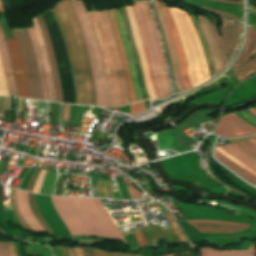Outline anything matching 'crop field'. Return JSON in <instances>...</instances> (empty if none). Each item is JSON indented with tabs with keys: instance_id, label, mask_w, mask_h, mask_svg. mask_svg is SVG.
I'll return each mask as SVG.
<instances>
[{
	"instance_id": "d1516ede",
	"label": "crop field",
	"mask_w": 256,
	"mask_h": 256,
	"mask_svg": "<svg viewBox=\"0 0 256 256\" xmlns=\"http://www.w3.org/2000/svg\"><path fill=\"white\" fill-rule=\"evenodd\" d=\"M187 222L200 232L235 233L249 227V224L216 220H187Z\"/></svg>"
},
{
	"instance_id": "d23c7cc5",
	"label": "crop field",
	"mask_w": 256,
	"mask_h": 256,
	"mask_svg": "<svg viewBox=\"0 0 256 256\" xmlns=\"http://www.w3.org/2000/svg\"><path fill=\"white\" fill-rule=\"evenodd\" d=\"M7 164H8L7 161H3V160L1 161V163H0V174H3Z\"/></svg>"
},
{
	"instance_id": "d3111659",
	"label": "crop field",
	"mask_w": 256,
	"mask_h": 256,
	"mask_svg": "<svg viewBox=\"0 0 256 256\" xmlns=\"http://www.w3.org/2000/svg\"><path fill=\"white\" fill-rule=\"evenodd\" d=\"M218 152H220L222 155H224L225 157L229 158L230 160H232L233 162H235L237 165H239L241 168H243L244 170L248 171L249 173H251L252 175L256 176V171L252 170L251 168H249L247 165H245L243 162L239 161L238 159H236L235 157H233L231 154H229L227 151H225L224 149L220 148L219 146L216 147V149Z\"/></svg>"
},
{
	"instance_id": "28ad6ade",
	"label": "crop field",
	"mask_w": 256,
	"mask_h": 256,
	"mask_svg": "<svg viewBox=\"0 0 256 256\" xmlns=\"http://www.w3.org/2000/svg\"><path fill=\"white\" fill-rule=\"evenodd\" d=\"M157 1L163 11V15H164L166 23H167L169 34H170V37H171V40H172V43H173V46H174V49L176 52V56H177V60H178V64H179V77H180L185 89L187 90L189 88H192L193 86H192L190 79L188 77V74H187L188 66H187V62H186V59H185V56L183 53V49H182V46H181V43H180V40H179V37L177 34L174 20L171 16L169 10L166 8L163 0H162L163 6L161 5L159 0H157Z\"/></svg>"
},
{
	"instance_id": "d9b57169",
	"label": "crop field",
	"mask_w": 256,
	"mask_h": 256,
	"mask_svg": "<svg viewBox=\"0 0 256 256\" xmlns=\"http://www.w3.org/2000/svg\"><path fill=\"white\" fill-rule=\"evenodd\" d=\"M152 3L154 5V8H155L156 13L158 15V19H159L160 25L162 27L165 42H166V45H167L169 57H170V60L172 62L173 75H174L175 79L177 80V81H174V82H175L179 92L184 91V88H183V86H182V84H181V82L178 78L177 60H176V57H175V54H174V51H173V48H172V44H171V41H170V37H169V34H168V30H167V27H166L165 20L163 18L162 12H161L156 0H153Z\"/></svg>"
},
{
	"instance_id": "e52e79f7",
	"label": "crop field",
	"mask_w": 256,
	"mask_h": 256,
	"mask_svg": "<svg viewBox=\"0 0 256 256\" xmlns=\"http://www.w3.org/2000/svg\"><path fill=\"white\" fill-rule=\"evenodd\" d=\"M30 85V98L43 100V92L39 72L35 60L31 38L26 29H15Z\"/></svg>"
},
{
	"instance_id": "d14b1444",
	"label": "crop field",
	"mask_w": 256,
	"mask_h": 256,
	"mask_svg": "<svg viewBox=\"0 0 256 256\" xmlns=\"http://www.w3.org/2000/svg\"><path fill=\"white\" fill-rule=\"evenodd\" d=\"M56 256V255H55Z\"/></svg>"
},
{
	"instance_id": "0f1d7ab4",
	"label": "crop field",
	"mask_w": 256,
	"mask_h": 256,
	"mask_svg": "<svg viewBox=\"0 0 256 256\" xmlns=\"http://www.w3.org/2000/svg\"><path fill=\"white\" fill-rule=\"evenodd\" d=\"M245 141L256 149V146L253 145L251 142H249L248 140H245Z\"/></svg>"
},
{
	"instance_id": "1d79db26",
	"label": "crop field",
	"mask_w": 256,
	"mask_h": 256,
	"mask_svg": "<svg viewBox=\"0 0 256 256\" xmlns=\"http://www.w3.org/2000/svg\"><path fill=\"white\" fill-rule=\"evenodd\" d=\"M217 1H224V2L236 3V4L242 5V2H236V1H229V0H217Z\"/></svg>"
},
{
	"instance_id": "750c4746",
	"label": "crop field",
	"mask_w": 256,
	"mask_h": 256,
	"mask_svg": "<svg viewBox=\"0 0 256 256\" xmlns=\"http://www.w3.org/2000/svg\"><path fill=\"white\" fill-rule=\"evenodd\" d=\"M131 7H132V11H133V14H134V17H135V21H136V24H137V28H138V31H139V35H140V39H141L142 46H143V49H144L145 57H146V60H147V63H148L150 79H151V82L153 84V87H154V90H155V93H156V97L158 98L157 89H156V86H155V83H154V80H153V75H152V72H151V68H150V64H149V59H148L147 51H146L145 44H144V41H143L142 33H141V30H140V27H139L138 19H137L134 7L133 6H131Z\"/></svg>"
},
{
	"instance_id": "eef30255",
	"label": "crop field",
	"mask_w": 256,
	"mask_h": 256,
	"mask_svg": "<svg viewBox=\"0 0 256 256\" xmlns=\"http://www.w3.org/2000/svg\"><path fill=\"white\" fill-rule=\"evenodd\" d=\"M238 80L241 82L244 80L249 74L256 71V57L250 61L248 64L240 67V68H232Z\"/></svg>"
},
{
	"instance_id": "5d738f31",
	"label": "crop field",
	"mask_w": 256,
	"mask_h": 256,
	"mask_svg": "<svg viewBox=\"0 0 256 256\" xmlns=\"http://www.w3.org/2000/svg\"><path fill=\"white\" fill-rule=\"evenodd\" d=\"M239 143H241L244 147H246L249 151H251L253 154L256 155V150L254 148H252L250 145H248L246 142L242 141Z\"/></svg>"
},
{
	"instance_id": "9d1cf04e",
	"label": "crop field",
	"mask_w": 256,
	"mask_h": 256,
	"mask_svg": "<svg viewBox=\"0 0 256 256\" xmlns=\"http://www.w3.org/2000/svg\"><path fill=\"white\" fill-rule=\"evenodd\" d=\"M1 101H2V116H4V97H1Z\"/></svg>"
},
{
	"instance_id": "ae1a2a85",
	"label": "crop field",
	"mask_w": 256,
	"mask_h": 256,
	"mask_svg": "<svg viewBox=\"0 0 256 256\" xmlns=\"http://www.w3.org/2000/svg\"><path fill=\"white\" fill-rule=\"evenodd\" d=\"M34 195L33 193H29V205L30 208L34 214V216L36 217V219L39 221V223L42 225V227L48 232V234H52L51 229L49 228V226L45 223V221L42 219V217L40 216L38 209L36 207L35 204V199H34Z\"/></svg>"
},
{
	"instance_id": "f4fd0767",
	"label": "crop field",
	"mask_w": 256,
	"mask_h": 256,
	"mask_svg": "<svg viewBox=\"0 0 256 256\" xmlns=\"http://www.w3.org/2000/svg\"><path fill=\"white\" fill-rule=\"evenodd\" d=\"M70 1L78 17L80 28L86 42L94 79L97 106L109 107L108 87L92 24L89 20L83 2L77 0Z\"/></svg>"
},
{
	"instance_id": "1f2cbd36",
	"label": "crop field",
	"mask_w": 256,
	"mask_h": 256,
	"mask_svg": "<svg viewBox=\"0 0 256 256\" xmlns=\"http://www.w3.org/2000/svg\"><path fill=\"white\" fill-rule=\"evenodd\" d=\"M12 189H13V188H11V195H12V202H13ZM13 207H14V203H13ZM14 211H15V213H16V215H17V217H18L19 221L21 222L22 226L24 227V229H27V228L25 227V225L22 223V221H21V219H20V217H19L18 213H17V212H16V210H15V207H14ZM27 230H28V229H27Z\"/></svg>"
},
{
	"instance_id": "d32e631a",
	"label": "crop field",
	"mask_w": 256,
	"mask_h": 256,
	"mask_svg": "<svg viewBox=\"0 0 256 256\" xmlns=\"http://www.w3.org/2000/svg\"><path fill=\"white\" fill-rule=\"evenodd\" d=\"M146 110L144 102H138L130 105V114L135 116L136 114Z\"/></svg>"
},
{
	"instance_id": "5866460e",
	"label": "crop field",
	"mask_w": 256,
	"mask_h": 256,
	"mask_svg": "<svg viewBox=\"0 0 256 256\" xmlns=\"http://www.w3.org/2000/svg\"><path fill=\"white\" fill-rule=\"evenodd\" d=\"M30 29H31V31L34 35V39H35V43H36V47H37L41 67H42V72H43V76H44V80H45V89H46L47 100L49 101V92H48L47 80H46V75H45V71H44V67H43V63H42V59H41V55H40V51H39V47H38V43H37V38H36V35L34 33L33 27H31Z\"/></svg>"
},
{
	"instance_id": "c39391a2",
	"label": "crop field",
	"mask_w": 256,
	"mask_h": 256,
	"mask_svg": "<svg viewBox=\"0 0 256 256\" xmlns=\"http://www.w3.org/2000/svg\"><path fill=\"white\" fill-rule=\"evenodd\" d=\"M165 256V255H164Z\"/></svg>"
},
{
	"instance_id": "dafd665d",
	"label": "crop field",
	"mask_w": 256,
	"mask_h": 256,
	"mask_svg": "<svg viewBox=\"0 0 256 256\" xmlns=\"http://www.w3.org/2000/svg\"><path fill=\"white\" fill-rule=\"evenodd\" d=\"M256 53V31L248 27L247 30V42L241 58L234 64V66H241ZM233 66V67H234Z\"/></svg>"
},
{
	"instance_id": "00972430",
	"label": "crop field",
	"mask_w": 256,
	"mask_h": 256,
	"mask_svg": "<svg viewBox=\"0 0 256 256\" xmlns=\"http://www.w3.org/2000/svg\"><path fill=\"white\" fill-rule=\"evenodd\" d=\"M225 150H227L229 153H231L236 158L240 159L244 163H246L248 166H250L252 169L256 170V159H254L252 156H250L248 153H246L244 150H242L240 147H238L236 144H228L225 146H221Z\"/></svg>"
},
{
	"instance_id": "dd49c442",
	"label": "crop field",
	"mask_w": 256,
	"mask_h": 256,
	"mask_svg": "<svg viewBox=\"0 0 256 256\" xmlns=\"http://www.w3.org/2000/svg\"><path fill=\"white\" fill-rule=\"evenodd\" d=\"M113 11H114L115 19H116V22H117L118 30H119V33H120L121 41H122V44H123L124 52H125V55H126V59H127L128 67H129V70H130L131 78H132V81H133L134 89H135V92H136L137 100L140 101L143 98H142V94H141L140 87H139L138 80H137V74H136V68H135L134 60H133V57H132V54H131V51H130V48H129V45H128V42H127V39H126V36H125L121 15H120V12H119L118 9H115ZM113 11L109 10V11H107V13H108L109 19L112 23V27H113V30H114L115 38H116V41H117V45H118L120 56H121L122 63H123L124 74H125L126 80H127L129 100H130V103H132V102H136L137 100H136L135 92H134V89H133L132 81H131V78H130L129 70H128V67H127L126 59H125V56H124L122 44H121V41H120L117 26H116V22H115V19H114Z\"/></svg>"
},
{
	"instance_id": "412701ff",
	"label": "crop field",
	"mask_w": 256,
	"mask_h": 256,
	"mask_svg": "<svg viewBox=\"0 0 256 256\" xmlns=\"http://www.w3.org/2000/svg\"><path fill=\"white\" fill-rule=\"evenodd\" d=\"M168 8L176 23L179 37L188 62V74L191 82L193 86L198 85L209 79V73L197 34L186 13L172 7Z\"/></svg>"
},
{
	"instance_id": "e1f06a70",
	"label": "crop field",
	"mask_w": 256,
	"mask_h": 256,
	"mask_svg": "<svg viewBox=\"0 0 256 256\" xmlns=\"http://www.w3.org/2000/svg\"><path fill=\"white\" fill-rule=\"evenodd\" d=\"M39 172H40V170H38V169L34 170L32 176H31V178H30V180L28 182V185H27V187L25 189L26 191H30V192L32 191L33 185H34V183L36 181V178H37Z\"/></svg>"
},
{
	"instance_id": "8a807250",
	"label": "crop field",
	"mask_w": 256,
	"mask_h": 256,
	"mask_svg": "<svg viewBox=\"0 0 256 256\" xmlns=\"http://www.w3.org/2000/svg\"><path fill=\"white\" fill-rule=\"evenodd\" d=\"M71 235L103 236L124 242L100 199L51 196Z\"/></svg>"
},
{
	"instance_id": "730fd06b",
	"label": "crop field",
	"mask_w": 256,
	"mask_h": 256,
	"mask_svg": "<svg viewBox=\"0 0 256 256\" xmlns=\"http://www.w3.org/2000/svg\"><path fill=\"white\" fill-rule=\"evenodd\" d=\"M201 256H254L253 251H241V252H221L213 249L204 248L201 249Z\"/></svg>"
},
{
	"instance_id": "3316defc",
	"label": "crop field",
	"mask_w": 256,
	"mask_h": 256,
	"mask_svg": "<svg viewBox=\"0 0 256 256\" xmlns=\"http://www.w3.org/2000/svg\"><path fill=\"white\" fill-rule=\"evenodd\" d=\"M13 31L15 39H9L6 40L7 47L14 71V76L17 84V90H18V96L20 97H26L29 98V85L26 79L23 60L18 44V40L15 34V31Z\"/></svg>"
},
{
	"instance_id": "e1d0b9f6",
	"label": "crop field",
	"mask_w": 256,
	"mask_h": 256,
	"mask_svg": "<svg viewBox=\"0 0 256 256\" xmlns=\"http://www.w3.org/2000/svg\"><path fill=\"white\" fill-rule=\"evenodd\" d=\"M250 111L256 116V110L251 109Z\"/></svg>"
},
{
	"instance_id": "4177f3b9",
	"label": "crop field",
	"mask_w": 256,
	"mask_h": 256,
	"mask_svg": "<svg viewBox=\"0 0 256 256\" xmlns=\"http://www.w3.org/2000/svg\"><path fill=\"white\" fill-rule=\"evenodd\" d=\"M56 175V172H46L39 193L53 195Z\"/></svg>"
},
{
	"instance_id": "92a150f3",
	"label": "crop field",
	"mask_w": 256,
	"mask_h": 256,
	"mask_svg": "<svg viewBox=\"0 0 256 256\" xmlns=\"http://www.w3.org/2000/svg\"><path fill=\"white\" fill-rule=\"evenodd\" d=\"M32 21H33L35 32L37 34L39 47H40L41 55H42L45 70H46V75H47V80H48V85H49V92H50V101L55 102V90H54L51 68H50V64H49V60H48V54L46 51V47H45V44L43 41V37H42L41 31H40L39 24H38L36 18L34 17L32 19Z\"/></svg>"
},
{
	"instance_id": "b54c1fbb",
	"label": "crop field",
	"mask_w": 256,
	"mask_h": 256,
	"mask_svg": "<svg viewBox=\"0 0 256 256\" xmlns=\"http://www.w3.org/2000/svg\"><path fill=\"white\" fill-rule=\"evenodd\" d=\"M46 171L42 170L41 173H40V176L38 178V181L35 185V188H34V193H38L39 192V188H40V185H41V182H42V179L44 177V174H45Z\"/></svg>"
},
{
	"instance_id": "73cf0c24",
	"label": "crop field",
	"mask_w": 256,
	"mask_h": 256,
	"mask_svg": "<svg viewBox=\"0 0 256 256\" xmlns=\"http://www.w3.org/2000/svg\"><path fill=\"white\" fill-rule=\"evenodd\" d=\"M105 256H132V255H126V254H120V253H106Z\"/></svg>"
},
{
	"instance_id": "b80d0937",
	"label": "crop field",
	"mask_w": 256,
	"mask_h": 256,
	"mask_svg": "<svg viewBox=\"0 0 256 256\" xmlns=\"http://www.w3.org/2000/svg\"><path fill=\"white\" fill-rule=\"evenodd\" d=\"M229 116L232 117L233 119L237 120V121L240 122L242 125H244V126L247 127L249 130H251L253 133L256 134V128H254V127L251 126L250 124L246 123L245 121H243L241 118H239V117L236 116L235 114L229 115Z\"/></svg>"
},
{
	"instance_id": "ac0d7876",
	"label": "crop field",
	"mask_w": 256,
	"mask_h": 256,
	"mask_svg": "<svg viewBox=\"0 0 256 256\" xmlns=\"http://www.w3.org/2000/svg\"><path fill=\"white\" fill-rule=\"evenodd\" d=\"M53 10L61 26L71 61L77 104L96 105L88 54L72 5L69 0L59 1Z\"/></svg>"
},
{
	"instance_id": "cbeb9de0",
	"label": "crop field",
	"mask_w": 256,
	"mask_h": 256,
	"mask_svg": "<svg viewBox=\"0 0 256 256\" xmlns=\"http://www.w3.org/2000/svg\"><path fill=\"white\" fill-rule=\"evenodd\" d=\"M199 25L201 27V30L204 34V37L206 39L209 52L213 61L214 68L216 70V73L219 72L222 67V58H221V51L219 49V46L217 44V41L212 33L210 23L207 19H205L202 16H197Z\"/></svg>"
},
{
	"instance_id": "c21b1889",
	"label": "crop field",
	"mask_w": 256,
	"mask_h": 256,
	"mask_svg": "<svg viewBox=\"0 0 256 256\" xmlns=\"http://www.w3.org/2000/svg\"><path fill=\"white\" fill-rule=\"evenodd\" d=\"M28 31L31 35V38H32V42H33V45H34V49H35V54H36V60H37V64H38V68H39V72H40V76H41V80H42V85H43V91H44V100H46V96H45V89H44V83H43V77H42V72H41V68H40V64H39V60H38V56H37V52H36V48H35V44H34V40H33V37H32V34L30 32V29L28 28Z\"/></svg>"
},
{
	"instance_id": "a9b5d70f",
	"label": "crop field",
	"mask_w": 256,
	"mask_h": 256,
	"mask_svg": "<svg viewBox=\"0 0 256 256\" xmlns=\"http://www.w3.org/2000/svg\"><path fill=\"white\" fill-rule=\"evenodd\" d=\"M214 156L224 165H226L228 168L236 172L239 176L245 178L247 181H249L251 184L256 186V177L252 176L248 172L244 171L241 169L239 166H237L235 163L232 161L228 160L224 156H222L220 153L217 151L214 152Z\"/></svg>"
},
{
	"instance_id": "78b8030e",
	"label": "crop field",
	"mask_w": 256,
	"mask_h": 256,
	"mask_svg": "<svg viewBox=\"0 0 256 256\" xmlns=\"http://www.w3.org/2000/svg\"><path fill=\"white\" fill-rule=\"evenodd\" d=\"M21 101H22V99L19 98V109H20V112H21Z\"/></svg>"
},
{
	"instance_id": "0fb4a251",
	"label": "crop field",
	"mask_w": 256,
	"mask_h": 256,
	"mask_svg": "<svg viewBox=\"0 0 256 256\" xmlns=\"http://www.w3.org/2000/svg\"><path fill=\"white\" fill-rule=\"evenodd\" d=\"M94 256H104V252L98 251V250H94Z\"/></svg>"
},
{
	"instance_id": "214f88e0",
	"label": "crop field",
	"mask_w": 256,
	"mask_h": 256,
	"mask_svg": "<svg viewBox=\"0 0 256 256\" xmlns=\"http://www.w3.org/2000/svg\"><path fill=\"white\" fill-rule=\"evenodd\" d=\"M216 133L225 136H244L253 134L240 123L228 116L221 118Z\"/></svg>"
},
{
	"instance_id": "db79e9e6",
	"label": "crop field",
	"mask_w": 256,
	"mask_h": 256,
	"mask_svg": "<svg viewBox=\"0 0 256 256\" xmlns=\"http://www.w3.org/2000/svg\"><path fill=\"white\" fill-rule=\"evenodd\" d=\"M0 13H5L4 10H3V7L1 5V2H0Z\"/></svg>"
},
{
	"instance_id": "120bbe31",
	"label": "crop field",
	"mask_w": 256,
	"mask_h": 256,
	"mask_svg": "<svg viewBox=\"0 0 256 256\" xmlns=\"http://www.w3.org/2000/svg\"><path fill=\"white\" fill-rule=\"evenodd\" d=\"M166 218L169 222V224L171 225L173 231L175 232L176 236L178 237V239L180 240V242H186L182 232L180 231L179 227L177 226V224L175 223L174 219L172 218L171 214L166 215Z\"/></svg>"
},
{
	"instance_id": "89e229c0",
	"label": "crop field",
	"mask_w": 256,
	"mask_h": 256,
	"mask_svg": "<svg viewBox=\"0 0 256 256\" xmlns=\"http://www.w3.org/2000/svg\"><path fill=\"white\" fill-rule=\"evenodd\" d=\"M75 251L76 253V256H83V251L82 249H79V248H71Z\"/></svg>"
},
{
	"instance_id": "7b73153f",
	"label": "crop field",
	"mask_w": 256,
	"mask_h": 256,
	"mask_svg": "<svg viewBox=\"0 0 256 256\" xmlns=\"http://www.w3.org/2000/svg\"><path fill=\"white\" fill-rule=\"evenodd\" d=\"M68 250H69V256H74V252L70 249H68Z\"/></svg>"
},
{
	"instance_id": "34b2d1b8",
	"label": "crop field",
	"mask_w": 256,
	"mask_h": 256,
	"mask_svg": "<svg viewBox=\"0 0 256 256\" xmlns=\"http://www.w3.org/2000/svg\"><path fill=\"white\" fill-rule=\"evenodd\" d=\"M142 28L147 46L151 67L160 98L168 97L171 89L168 81L165 56L161 39L156 27V21L149 7L148 1L133 2Z\"/></svg>"
},
{
	"instance_id": "c035e120",
	"label": "crop field",
	"mask_w": 256,
	"mask_h": 256,
	"mask_svg": "<svg viewBox=\"0 0 256 256\" xmlns=\"http://www.w3.org/2000/svg\"><path fill=\"white\" fill-rule=\"evenodd\" d=\"M134 236L137 239L140 247H147L146 241L141 232L134 233Z\"/></svg>"
},
{
	"instance_id": "5a996713",
	"label": "crop field",
	"mask_w": 256,
	"mask_h": 256,
	"mask_svg": "<svg viewBox=\"0 0 256 256\" xmlns=\"http://www.w3.org/2000/svg\"><path fill=\"white\" fill-rule=\"evenodd\" d=\"M100 18V21L102 23L109 50L111 53L112 61H113V67H114V72L116 74V81L118 85V94H119V102L120 106L124 104H128V95H127V90H126V85H125V80H124V75L116 47V42L115 38L113 35V31L110 25V22L108 20L107 14L105 11L97 12Z\"/></svg>"
},
{
	"instance_id": "1d83c4d3",
	"label": "crop field",
	"mask_w": 256,
	"mask_h": 256,
	"mask_svg": "<svg viewBox=\"0 0 256 256\" xmlns=\"http://www.w3.org/2000/svg\"><path fill=\"white\" fill-rule=\"evenodd\" d=\"M212 25V29H213V32L215 34V37L218 41V44L220 46V49L222 51V57H223V66L225 64V61L227 62L228 61V58H227V54H226V51H225V48H224V45H223V42H222V39H221V36L218 32V29H217V25L216 24H211Z\"/></svg>"
},
{
	"instance_id": "bc2a9ffb",
	"label": "crop field",
	"mask_w": 256,
	"mask_h": 256,
	"mask_svg": "<svg viewBox=\"0 0 256 256\" xmlns=\"http://www.w3.org/2000/svg\"><path fill=\"white\" fill-rule=\"evenodd\" d=\"M36 18H37V20L40 24L42 34H43V37H44V40H45V43H46V47H47V50H48V54H49V59H50V64H51L53 79H54V84H55V90H56V101L57 102H62L61 86H60V81H59L57 68H56V62H55L52 46H51V43H50L49 35H48L45 23H44L41 15L36 17Z\"/></svg>"
},
{
	"instance_id": "5142ce71",
	"label": "crop field",
	"mask_w": 256,
	"mask_h": 256,
	"mask_svg": "<svg viewBox=\"0 0 256 256\" xmlns=\"http://www.w3.org/2000/svg\"><path fill=\"white\" fill-rule=\"evenodd\" d=\"M16 200L20 214L32 231H45L33 216L28 205V193L16 189Z\"/></svg>"
},
{
	"instance_id": "0765c3eb",
	"label": "crop field",
	"mask_w": 256,
	"mask_h": 256,
	"mask_svg": "<svg viewBox=\"0 0 256 256\" xmlns=\"http://www.w3.org/2000/svg\"><path fill=\"white\" fill-rule=\"evenodd\" d=\"M249 141H251L253 144H255V145H256V138L249 139Z\"/></svg>"
},
{
	"instance_id": "bd1437ed",
	"label": "crop field",
	"mask_w": 256,
	"mask_h": 256,
	"mask_svg": "<svg viewBox=\"0 0 256 256\" xmlns=\"http://www.w3.org/2000/svg\"><path fill=\"white\" fill-rule=\"evenodd\" d=\"M0 256H17L13 242H0Z\"/></svg>"
},
{
	"instance_id": "dbb93151",
	"label": "crop field",
	"mask_w": 256,
	"mask_h": 256,
	"mask_svg": "<svg viewBox=\"0 0 256 256\" xmlns=\"http://www.w3.org/2000/svg\"><path fill=\"white\" fill-rule=\"evenodd\" d=\"M203 9L210 10V9H207V8H204V7H203ZM210 11H213V12H216V13H219V14H222V15H225V16H228V17H231V18H234V19H237V20L241 21V19L237 18V17H233V16H230V15H227V14H223V13H220V12H217V11H214V10H210Z\"/></svg>"
},
{
	"instance_id": "03da06ac",
	"label": "crop field",
	"mask_w": 256,
	"mask_h": 256,
	"mask_svg": "<svg viewBox=\"0 0 256 256\" xmlns=\"http://www.w3.org/2000/svg\"><path fill=\"white\" fill-rule=\"evenodd\" d=\"M69 112H70V105L64 104L62 122H68Z\"/></svg>"
},
{
	"instance_id": "22f410ed",
	"label": "crop field",
	"mask_w": 256,
	"mask_h": 256,
	"mask_svg": "<svg viewBox=\"0 0 256 256\" xmlns=\"http://www.w3.org/2000/svg\"><path fill=\"white\" fill-rule=\"evenodd\" d=\"M222 22L223 26L220 27V30L228 57L230 59L239 41L240 33H242V24L226 18H222Z\"/></svg>"
},
{
	"instance_id": "028f5c9d",
	"label": "crop field",
	"mask_w": 256,
	"mask_h": 256,
	"mask_svg": "<svg viewBox=\"0 0 256 256\" xmlns=\"http://www.w3.org/2000/svg\"><path fill=\"white\" fill-rule=\"evenodd\" d=\"M0 95H7V86L4 78L1 60H0Z\"/></svg>"
},
{
	"instance_id": "0bd39190",
	"label": "crop field",
	"mask_w": 256,
	"mask_h": 256,
	"mask_svg": "<svg viewBox=\"0 0 256 256\" xmlns=\"http://www.w3.org/2000/svg\"><path fill=\"white\" fill-rule=\"evenodd\" d=\"M132 199H142L141 194L136 190L133 185H126Z\"/></svg>"
},
{
	"instance_id": "733c2abd",
	"label": "crop field",
	"mask_w": 256,
	"mask_h": 256,
	"mask_svg": "<svg viewBox=\"0 0 256 256\" xmlns=\"http://www.w3.org/2000/svg\"><path fill=\"white\" fill-rule=\"evenodd\" d=\"M4 39L5 38L0 27V56L3 64L5 77L8 83V92H9V95L17 96L16 84H15V80H14V76H13V72L10 64V59H9V55H8V51H7V47Z\"/></svg>"
},
{
	"instance_id": "25e5ab78",
	"label": "crop field",
	"mask_w": 256,
	"mask_h": 256,
	"mask_svg": "<svg viewBox=\"0 0 256 256\" xmlns=\"http://www.w3.org/2000/svg\"><path fill=\"white\" fill-rule=\"evenodd\" d=\"M84 256H93V250L89 248H83Z\"/></svg>"
},
{
	"instance_id": "4a817a6b",
	"label": "crop field",
	"mask_w": 256,
	"mask_h": 256,
	"mask_svg": "<svg viewBox=\"0 0 256 256\" xmlns=\"http://www.w3.org/2000/svg\"><path fill=\"white\" fill-rule=\"evenodd\" d=\"M126 9H127L128 16H129V19H130L131 30H132V33H133V36H134V39H135V42H136V46H137V49H138V53H139V56H140L141 65H142V69H143V73H144L148 93H149L150 98L154 99L156 97H155V93H154L153 87H152L150 79H149L147 63H146V60H145V57H144V53H143V50H142V46H141V42H140V39H139L138 31H137L136 24H135L133 14H132V11H131V7L130 6L126 7Z\"/></svg>"
},
{
	"instance_id": "d8731c3e",
	"label": "crop field",
	"mask_w": 256,
	"mask_h": 256,
	"mask_svg": "<svg viewBox=\"0 0 256 256\" xmlns=\"http://www.w3.org/2000/svg\"><path fill=\"white\" fill-rule=\"evenodd\" d=\"M88 14L93 23L96 37L99 43L101 55H102V60H103V64L106 72V78L109 86L110 107L119 106L115 75L113 72L112 62H111L109 50L105 41L101 23L96 14V11L88 12Z\"/></svg>"
},
{
	"instance_id": "ae633e8c",
	"label": "crop field",
	"mask_w": 256,
	"mask_h": 256,
	"mask_svg": "<svg viewBox=\"0 0 256 256\" xmlns=\"http://www.w3.org/2000/svg\"><path fill=\"white\" fill-rule=\"evenodd\" d=\"M166 256H173L172 254H170V255H166Z\"/></svg>"
},
{
	"instance_id": "425ffa30",
	"label": "crop field",
	"mask_w": 256,
	"mask_h": 256,
	"mask_svg": "<svg viewBox=\"0 0 256 256\" xmlns=\"http://www.w3.org/2000/svg\"><path fill=\"white\" fill-rule=\"evenodd\" d=\"M241 114H242L245 118L249 119L250 121H252L253 123L256 124V120H255L253 117H251L246 111L241 112Z\"/></svg>"
},
{
	"instance_id": "447ae74e",
	"label": "crop field",
	"mask_w": 256,
	"mask_h": 256,
	"mask_svg": "<svg viewBox=\"0 0 256 256\" xmlns=\"http://www.w3.org/2000/svg\"><path fill=\"white\" fill-rule=\"evenodd\" d=\"M238 146H240L242 149H244L245 151H247L249 154H251L252 156H254L256 158L255 155H253L251 152H249L247 149H245L243 146H241L240 144H238L237 142H235Z\"/></svg>"
}]
</instances>
